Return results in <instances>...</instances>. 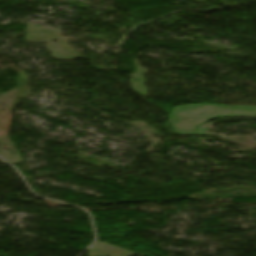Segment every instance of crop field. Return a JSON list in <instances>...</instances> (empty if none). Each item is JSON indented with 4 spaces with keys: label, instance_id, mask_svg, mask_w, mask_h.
<instances>
[{
    "label": "crop field",
    "instance_id": "8a807250",
    "mask_svg": "<svg viewBox=\"0 0 256 256\" xmlns=\"http://www.w3.org/2000/svg\"><path fill=\"white\" fill-rule=\"evenodd\" d=\"M172 115L177 120L173 122L176 134H185L193 132L201 124L218 116L256 115V107L210 104L185 105L175 107Z\"/></svg>",
    "mask_w": 256,
    "mask_h": 256
}]
</instances>
